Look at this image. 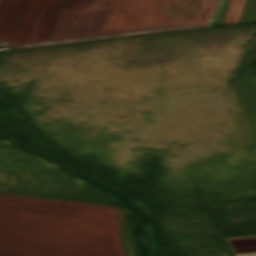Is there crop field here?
I'll return each instance as SVG.
<instances>
[{"label":"crop field","mask_w":256,"mask_h":256,"mask_svg":"<svg viewBox=\"0 0 256 256\" xmlns=\"http://www.w3.org/2000/svg\"><path fill=\"white\" fill-rule=\"evenodd\" d=\"M246 0H233L226 16L225 24L239 21Z\"/></svg>","instance_id":"crop-field-1"}]
</instances>
